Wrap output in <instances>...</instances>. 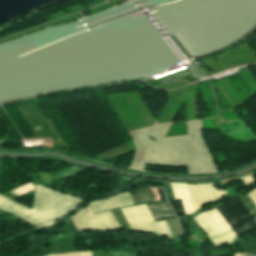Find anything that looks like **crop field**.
<instances>
[{
  "instance_id": "18",
  "label": "crop field",
  "mask_w": 256,
  "mask_h": 256,
  "mask_svg": "<svg viewBox=\"0 0 256 256\" xmlns=\"http://www.w3.org/2000/svg\"><path fill=\"white\" fill-rule=\"evenodd\" d=\"M248 195V197L251 199V201L255 204L256 206V189L253 191H250L248 193H246Z\"/></svg>"
},
{
  "instance_id": "14",
  "label": "crop field",
  "mask_w": 256,
  "mask_h": 256,
  "mask_svg": "<svg viewBox=\"0 0 256 256\" xmlns=\"http://www.w3.org/2000/svg\"><path fill=\"white\" fill-rule=\"evenodd\" d=\"M241 200L245 203V205L249 208V210L254 214L256 217V208L252 204V202L249 200V198L246 196V194L240 196Z\"/></svg>"
},
{
  "instance_id": "22",
  "label": "crop field",
  "mask_w": 256,
  "mask_h": 256,
  "mask_svg": "<svg viewBox=\"0 0 256 256\" xmlns=\"http://www.w3.org/2000/svg\"><path fill=\"white\" fill-rule=\"evenodd\" d=\"M54 256H78V254L77 252H73V253L57 254Z\"/></svg>"
},
{
  "instance_id": "7",
  "label": "crop field",
  "mask_w": 256,
  "mask_h": 256,
  "mask_svg": "<svg viewBox=\"0 0 256 256\" xmlns=\"http://www.w3.org/2000/svg\"><path fill=\"white\" fill-rule=\"evenodd\" d=\"M226 204L248 232L256 229V218L251 214L239 197L226 202Z\"/></svg>"
},
{
  "instance_id": "19",
  "label": "crop field",
  "mask_w": 256,
  "mask_h": 256,
  "mask_svg": "<svg viewBox=\"0 0 256 256\" xmlns=\"http://www.w3.org/2000/svg\"><path fill=\"white\" fill-rule=\"evenodd\" d=\"M179 221H180V224H181L184 235H188L189 233H188L187 227H186L182 217L179 219Z\"/></svg>"
},
{
  "instance_id": "13",
  "label": "crop field",
  "mask_w": 256,
  "mask_h": 256,
  "mask_svg": "<svg viewBox=\"0 0 256 256\" xmlns=\"http://www.w3.org/2000/svg\"><path fill=\"white\" fill-rule=\"evenodd\" d=\"M173 211L175 212L177 218H179L180 214L183 213V207L181 204V200H173V201H169Z\"/></svg>"
},
{
  "instance_id": "5",
  "label": "crop field",
  "mask_w": 256,
  "mask_h": 256,
  "mask_svg": "<svg viewBox=\"0 0 256 256\" xmlns=\"http://www.w3.org/2000/svg\"><path fill=\"white\" fill-rule=\"evenodd\" d=\"M194 219L215 246L231 243L207 211L198 214Z\"/></svg>"
},
{
  "instance_id": "1",
  "label": "crop field",
  "mask_w": 256,
  "mask_h": 256,
  "mask_svg": "<svg viewBox=\"0 0 256 256\" xmlns=\"http://www.w3.org/2000/svg\"><path fill=\"white\" fill-rule=\"evenodd\" d=\"M85 201L36 185L32 210L0 196V209L42 229L69 213ZM63 218V217H62Z\"/></svg>"
},
{
  "instance_id": "12",
  "label": "crop field",
  "mask_w": 256,
  "mask_h": 256,
  "mask_svg": "<svg viewBox=\"0 0 256 256\" xmlns=\"http://www.w3.org/2000/svg\"><path fill=\"white\" fill-rule=\"evenodd\" d=\"M217 208L219 209V211L222 213V215L225 217V219L228 221V223L231 225V227L234 229L238 236L244 234V232L241 230V228L238 226V224L235 222V220L232 218V216L228 213V211L224 208L223 205Z\"/></svg>"
},
{
  "instance_id": "10",
  "label": "crop field",
  "mask_w": 256,
  "mask_h": 256,
  "mask_svg": "<svg viewBox=\"0 0 256 256\" xmlns=\"http://www.w3.org/2000/svg\"><path fill=\"white\" fill-rule=\"evenodd\" d=\"M209 212L213 216V218L216 220V222L219 224V226L223 229V231L227 234V236L233 242L238 236L233 231V229L230 227V225L227 223V221L224 219V217L221 215V213L218 211V209L214 208V209L209 210Z\"/></svg>"
},
{
  "instance_id": "11",
  "label": "crop field",
  "mask_w": 256,
  "mask_h": 256,
  "mask_svg": "<svg viewBox=\"0 0 256 256\" xmlns=\"http://www.w3.org/2000/svg\"><path fill=\"white\" fill-rule=\"evenodd\" d=\"M131 195L135 205L144 202H153L148 188L138 190Z\"/></svg>"
},
{
  "instance_id": "2",
  "label": "crop field",
  "mask_w": 256,
  "mask_h": 256,
  "mask_svg": "<svg viewBox=\"0 0 256 256\" xmlns=\"http://www.w3.org/2000/svg\"><path fill=\"white\" fill-rule=\"evenodd\" d=\"M131 228L128 230L156 232L165 237H172L166 221L155 223L146 204L121 208Z\"/></svg>"
},
{
  "instance_id": "4",
  "label": "crop field",
  "mask_w": 256,
  "mask_h": 256,
  "mask_svg": "<svg viewBox=\"0 0 256 256\" xmlns=\"http://www.w3.org/2000/svg\"><path fill=\"white\" fill-rule=\"evenodd\" d=\"M187 186L194 210H198L199 208L208 205L227 194L226 191L214 189V184ZM219 191L222 193L219 194Z\"/></svg>"
},
{
  "instance_id": "15",
  "label": "crop field",
  "mask_w": 256,
  "mask_h": 256,
  "mask_svg": "<svg viewBox=\"0 0 256 256\" xmlns=\"http://www.w3.org/2000/svg\"><path fill=\"white\" fill-rule=\"evenodd\" d=\"M240 181L244 184L245 187H247V186L255 184L256 178L254 177L253 174H251V175L241 179Z\"/></svg>"
},
{
  "instance_id": "24",
  "label": "crop field",
  "mask_w": 256,
  "mask_h": 256,
  "mask_svg": "<svg viewBox=\"0 0 256 256\" xmlns=\"http://www.w3.org/2000/svg\"><path fill=\"white\" fill-rule=\"evenodd\" d=\"M46 256H53V254H50V255H46Z\"/></svg>"
},
{
  "instance_id": "21",
  "label": "crop field",
  "mask_w": 256,
  "mask_h": 256,
  "mask_svg": "<svg viewBox=\"0 0 256 256\" xmlns=\"http://www.w3.org/2000/svg\"><path fill=\"white\" fill-rule=\"evenodd\" d=\"M157 189H158V193H159V196H160V200L161 201L166 200L165 197H164L163 190L161 188H157Z\"/></svg>"
},
{
  "instance_id": "8",
  "label": "crop field",
  "mask_w": 256,
  "mask_h": 256,
  "mask_svg": "<svg viewBox=\"0 0 256 256\" xmlns=\"http://www.w3.org/2000/svg\"><path fill=\"white\" fill-rule=\"evenodd\" d=\"M154 220L157 222V221H160V220H163V219H170L172 218L175 226H176V229L179 233V235L181 236L182 235V232L179 228V225H178V222L176 220V217L175 215L173 214L169 204L167 202H162V203H151V204H147Z\"/></svg>"
},
{
  "instance_id": "16",
  "label": "crop field",
  "mask_w": 256,
  "mask_h": 256,
  "mask_svg": "<svg viewBox=\"0 0 256 256\" xmlns=\"http://www.w3.org/2000/svg\"><path fill=\"white\" fill-rule=\"evenodd\" d=\"M162 185L164 186L167 200H173L174 198L169 183H162Z\"/></svg>"
},
{
  "instance_id": "6",
  "label": "crop field",
  "mask_w": 256,
  "mask_h": 256,
  "mask_svg": "<svg viewBox=\"0 0 256 256\" xmlns=\"http://www.w3.org/2000/svg\"><path fill=\"white\" fill-rule=\"evenodd\" d=\"M93 214L117 207L134 205L129 191L114 197L99 200L88 204Z\"/></svg>"
},
{
  "instance_id": "9",
  "label": "crop field",
  "mask_w": 256,
  "mask_h": 256,
  "mask_svg": "<svg viewBox=\"0 0 256 256\" xmlns=\"http://www.w3.org/2000/svg\"><path fill=\"white\" fill-rule=\"evenodd\" d=\"M174 198H181L185 214L192 213V206L185 183H170Z\"/></svg>"
},
{
  "instance_id": "17",
  "label": "crop field",
  "mask_w": 256,
  "mask_h": 256,
  "mask_svg": "<svg viewBox=\"0 0 256 256\" xmlns=\"http://www.w3.org/2000/svg\"><path fill=\"white\" fill-rule=\"evenodd\" d=\"M166 221H167V223H168V226H169V228H170V231H171L172 236H173V237H178L179 235H178V233H177V231H176V229H175V226H174L172 220H166Z\"/></svg>"
},
{
  "instance_id": "3",
  "label": "crop field",
  "mask_w": 256,
  "mask_h": 256,
  "mask_svg": "<svg viewBox=\"0 0 256 256\" xmlns=\"http://www.w3.org/2000/svg\"><path fill=\"white\" fill-rule=\"evenodd\" d=\"M76 231L78 230H114L120 229L111 211L92 215L89 207L79 211L70 218Z\"/></svg>"
},
{
  "instance_id": "20",
  "label": "crop field",
  "mask_w": 256,
  "mask_h": 256,
  "mask_svg": "<svg viewBox=\"0 0 256 256\" xmlns=\"http://www.w3.org/2000/svg\"><path fill=\"white\" fill-rule=\"evenodd\" d=\"M224 206L227 208V210L230 212V214L233 216V218L236 220V222L240 225V227L244 230L245 233H248L246 229L242 226V224L238 221V219L234 216V214L230 211V209L226 206L225 203H223Z\"/></svg>"
},
{
  "instance_id": "23",
  "label": "crop field",
  "mask_w": 256,
  "mask_h": 256,
  "mask_svg": "<svg viewBox=\"0 0 256 256\" xmlns=\"http://www.w3.org/2000/svg\"><path fill=\"white\" fill-rule=\"evenodd\" d=\"M79 256H91L92 251L78 252Z\"/></svg>"
}]
</instances>
